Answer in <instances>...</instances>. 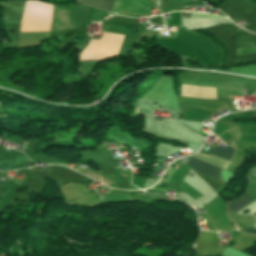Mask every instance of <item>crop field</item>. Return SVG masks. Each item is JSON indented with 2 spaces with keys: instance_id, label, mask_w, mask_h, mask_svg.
Masks as SVG:
<instances>
[{
  "instance_id": "5",
  "label": "crop field",
  "mask_w": 256,
  "mask_h": 256,
  "mask_svg": "<svg viewBox=\"0 0 256 256\" xmlns=\"http://www.w3.org/2000/svg\"><path fill=\"white\" fill-rule=\"evenodd\" d=\"M217 241V233L201 231L194 251L197 255L223 252L225 246L219 245Z\"/></svg>"
},
{
  "instance_id": "8",
  "label": "crop field",
  "mask_w": 256,
  "mask_h": 256,
  "mask_svg": "<svg viewBox=\"0 0 256 256\" xmlns=\"http://www.w3.org/2000/svg\"><path fill=\"white\" fill-rule=\"evenodd\" d=\"M252 200L249 196L247 195H242L239 198H237L230 206L229 209L233 212H237L240 209H242L244 206H246L247 204L251 203Z\"/></svg>"
},
{
  "instance_id": "6",
  "label": "crop field",
  "mask_w": 256,
  "mask_h": 256,
  "mask_svg": "<svg viewBox=\"0 0 256 256\" xmlns=\"http://www.w3.org/2000/svg\"><path fill=\"white\" fill-rule=\"evenodd\" d=\"M25 0L0 2L3 22L20 23Z\"/></svg>"
},
{
  "instance_id": "4",
  "label": "crop field",
  "mask_w": 256,
  "mask_h": 256,
  "mask_svg": "<svg viewBox=\"0 0 256 256\" xmlns=\"http://www.w3.org/2000/svg\"><path fill=\"white\" fill-rule=\"evenodd\" d=\"M114 0H77L78 3L100 7L110 12ZM112 12H127L133 15L149 14L148 0H116Z\"/></svg>"
},
{
  "instance_id": "10",
  "label": "crop field",
  "mask_w": 256,
  "mask_h": 256,
  "mask_svg": "<svg viewBox=\"0 0 256 256\" xmlns=\"http://www.w3.org/2000/svg\"><path fill=\"white\" fill-rule=\"evenodd\" d=\"M103 15H104V12L94 10L91 21H100V19L103 17Z\"/></svg>"
},
{
  "instance_id": "12",
  "label": "crop field",
  "mask_w": 256,
  "mask_h": 256,
  "mask_svg": "<svg viewBox=\"0 0 256 256\" xmlns=\"http://www.w3.org/2000/svg\"><path fill=\"white\" fill-rule=\"evenodd\" d=\"M171 1H175V2H179V3L185 4L187 0H171Z\"/></svg>"
},
{
  "instance_id": "7",
  "label": "crop field",
  "mask_w": 256,
  "mask_h": 256,
  "mask_svg": "<svg viewBox=\"0 0 256 256\" xmlns=\"http://www.w3.org/2000/svg\"><path fill=\"white\" fill-rule=\"evenodd\" d=\"M237 48L255 47L251 36H240L236 39ZM256 53V48L237 49V55Z\"/></svg>"
},
{
  "instance_id": "9",
  "label": "crop field",
  "mask_w": 256,
  "mask_h": 256,
  "mask_svg": "<svg viewBox=\"0 0 256 256\" xmlns=\"http://www.w3.org/2000/svg\"><path fill=\"white\" fill-rule=\"evenodd\" d=\"M90 10L85 8H75L73 27L88 20Z\"/></svg>"
},
{
  "instance_id": "2",
  "label": "crop field",
  "mask_w": 256,
  "mask_h": 256,
  "mask_svg": "<svg viewBox=\"0 0 256 256\" xmlns=\"http://www.w3.org/2000/svg\"><path fill=\"white\" fill-rule=\"evenodd\" d=\"M46 4L27 1L21 30H50L53 5Z\"/></svg>"
},
{
  "instance_id": "11",
  "label": "crop field",
  "mask_w": 256,
  "mask_h": 256,
  "mask_svg": "<svg viewBox=\"0 0 256 256\" xmlns=\"http://www.w3.org/2000/svg\"><path fill=\"white\" fill-rule=\"evenodd\" d=\"M241 231L251 233V234H256V229H252V228H241Z\"/></svg>"
},
{
  "instance_id": "3",
  "label": "crop field",
  "mask_w": 256,
  "mask_h": 256,
  "mask_svg": "<svg viewBox=\"0 0 256 256\" xmlns=\"http://www.w3.org/2000/svg\"><path fill=\"white\" fill-rule=\"evenodd\" d=\"M124 36L103 33L100 40L91 39L89 45L82 51L80 61L115 56L118 54Z\"/></svg>"
},
{
  "instance_id": "1",
  "label": "crop field",
  "mask_w": 256,
  "mask_h": 256,
  "mask_svg": "<svg viewBox=\"0 0 256 256\" xmlns=\"http://www.w3.org/2000/svg\"><path fill=\"white\" fill-rule=\"evenodd\" d=\"M235 149L232 147L226 146L225 148H212L211 149V155L220 157L222 159L230 161ZM192 170L197 171L199 173L208 175L210 177L216 178L218 180H221L220 178V170L222 168H219L217 166H214L212 164H209L207 162H204L202 160L196 159L194 157H191L187 163H186ZM195 172L201 179H203L214 191L220 188L222 185H224L223 182L218 181L216 179L207 177L205 175L199 174Z\"/></svg>"
}]
</instances>
